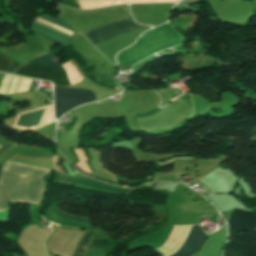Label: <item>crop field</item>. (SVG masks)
Here are the masks:
<instances>
[{
    "mask_svg": "<svg viewBox=\"0 0 256 256\" xmlns=\"http://www.w3.org/2000/svg\"><path fill=\"white\" fill-rule=\"evenodd\" d=\"M48 172L5 161L0 172V210H8L9 202L40 204L45 190L41 178Z\"/></svg>",
    "mask_w": 256,
    "mask_h": 256,
    "instance_id": "crop-field-1",
    "label": "crop field"
},
{
    "mask_svg": "<svg viewBox=\"0 0 256 256\" xmlns=\"http://www.w3.org/2000/svg\"><path fill=\"white\" fill-rule=\"evenodd\" d=\"M184 42L185 38L169 22L144 33L135 45L118 54L117 61L120 64L133 66L136 62L158 51L180 45Z\"/></svg>",
    "mask_w": 256,
    "mask_h": 256,
    "instance_id": "crop-field-2",
    "label": "crop field"
},
{
    "mask_svg": "<svg viewBox=\"0 0 256 256\" xmlns=\"http://www.w3.org/2000/svg\"><path fill=\"white\" fill-rule=\"evenodd\" d=\"M133 24H136V23L133 22L129 17H126V18H123L121 20L99 26V27H97L93 30L84 32V34L87 36V38L89 40H91V39L97 38L99 36L111 33L113 31L128 27V26L133 25ZM143 27H146V26L136 24V25L130 26L128 28L116 31L114 33L99 37V38L94 39V40H91V42L93 44H95V43L110 39L112 37H115L117 35L124 34V33H127V32H131V31H134L136 29L143 28Z\"/></svg>",
    "mask_w": 256,
    "mask_h": 256,
    "instance_id": "crop-field-3",
    "label": "crop field"
},
{
    "mask_svg": "<svg viewBox=\"0 0 256 256\" xmlns=\"http://www.w3.org/2000/svg\"><path fill=\"white\" fill-rule=\"evenodd\" d=\"M39 17H41V18H43V19H45V20H47V21H50V22H52V23H54V24H56V25H58V26H61V27H63V28H66V29H68V30H71V31H73V32H76V30H75L72 26H70V25L66 24L65 22H63V21H61V20H59V19H56V18H54V17H52V16L41 15V16H39ZM38 20L43 21V22H45V23H47V24H50V25H52V26H55V27H57V28H59V29H62V30H64V31H67V30H65V29H63V28H61V27H58V26H56V25H54V24H51V23H49V22H47V21H44V20H42V19H40V18H38ZM38 20H36L35 22L38 23V24H40V25H42V26H45V27H47V28H49V29H51V30H54V31H56V32H58V33H60V34H63V35H65V36L71 38V35H69V34H67V33H65V32H62V31H60V30H58V29H56V28H53V27H51V26H49V25H47V24H44V23H42V22H40V21H38ZM36 23H32V25H31V27H30V30H31V31L36 32V33H39V34H41V35H44V36L49 37V38H51V39H54V40H56V41H59V42L65 44V45H67V44H69V43L71 42V39H69V38H67V37H65V36H63V35H60V34L54 32V31H51V30H49V29H47V28H45V27H42V26H40V25H38V24H36ZM67 32H69V31H67ZM69 33H71V32H69ZM71 34H73V33H71ZM73 36H74V35H73ZM72 38H73V37H72Z\"/></svg>",
    "mask_w": 256,
    "mask_h": 256,
    "instance_id": "crop-field-4",
    "label": "crop field"
},
{
    "mask_svg": "<svg viewBox=\"0 0 256 256\" xmlns=\"http://www.w3.org/2000/svg\"><path fill=\"white\" fill-rule=\"evenodd\" d=\"M54 179L62 181V182L76 183V184H81V185H86V186H91V187L104 189V190H107V191L125 193V194H130L134 190V189H127V188H117V187L109 186V185L103 184L101 182L92 180L90 178H76V177L66 176V175H63V174H60V173H57V172H55ZM55 180L53 181L55 183L64 184V185H68V186L72 185V184H68V183L58 182V181H55ZM76 184H74V185H76ZM81 185H76L75 187L80 188V189H85V190H91V191L111 193V192L103 191V190H100V189L81 186ZM118 193H112V194H118ZM125 194H120V195H125Z\"/></svg>",
    "mask_w": 256,
    "mask_h": 256,
    "instance_id": "crop-field-5",
    "label": "crop field"
},
{
    "mask_svg": "<svg viewBox=\"0 0 256 256\" xmlns=\"http://www.w3.org/2000/svg\"><path fill=\"white\" fill-rule=\"evenodd\" d=\"M229 238L239 230H255L256 213L234 209L229 222Z\"/></svg>",
    "mask_w": 256,
    "mask_h": 256,
    "instance_id": "crop-field-6",
    "label": "crop field"
},
{
    "mask_svg": "<svg viewBox=\"0 0 256 256\" xmlns=\"http://www.w3.org/2000/svg\"><path fill=\"white\" fill-rule=\"evenodd\" d=\"M208 236V235H207ZM205 234L202 233L200 226H193L191 232L181 247V249L172 256H190L197 251L201 243L203 242ZM206 239V238H205Z\"/></svg>",
    "mask_w": 256,
    "mask_h": 256,
    "instance_id": "crop-field-7",
    "label": "crop field"
},
{
    "mask_svg": "<svg viewBox=\"0 0 256 256\" xmlns=\"http://www.w3.org/2000/svg\"><path fill=\"white\" fill-rule=\"evenodd\" d=\"M46 219H49L57 224H67V225H71V226H75L83 229L100 231L98 229L91 228L88 222L71 219L67 216L61 215L54 208L48 211L46 215Z\"/></svg>",
    "mask_w": 256,
    "mask_h": 256,
    "instance_id": "crop-field-8",
    "label": "crop field"
},
{
    "mask_svg": "<svg viewBox=\"0 0 256 256\" xmlns=\"http://www.w3.org/2000/svg\"><path fill=\"white\" fill-rule=\"evenodd\" d=\"M174 102V101H173ZM172 103L168 104V106L164 107L163 109H154L152 112L150 113H146V114H139V115H135L136 118L138 117H143V116H149V115H152L154 113H156L158 110H160L159 112H157L156 114L152 115V116H149V117H144V118H138L137 119V122H140V121H146V120H152V119H155L159 116H161L162 114H164L166 111H168L170 109V107L172 106Z\"/></svg>",
    "mask_w": 256,
    "mask_h": 256,
    "instance_id": "crop-field-9",
    "label": "crop field"
},
{
    "mask_svg": "<svg viewBox=\"0 0 256 256\" xmlns=\"http://www.w3.org/2000/svg\"><path fill=\"white\" fill-rule=\"evenodd\" d=\"M91 235H92V233L85 232L84 236L82 237V239L76 249L74 256H84L85 248H86V245H87Z\"/></svg>",
    "mask_w": 256,
    "mask_h": 256,
    "instance_id": "crop-field-10",
    "label": "crop field"
},
{
    "mask_svg": "<svg viewBox=\"0 0 256 256\" xmlns=\"http://www.w3.org/2000/svg\"><path fill=\"white\" fill-rule=\"evenodd\" d=\"M20 65H15L7 60H5L1 55H0V71L4 72H9L12 73L16 69H18Z\"/></svg>",
    "mask_w": 256,
    "mask_h": 256,
    "instance_id": "crop-field-11",
    "label": "crop field"
},
{
    "mask_svg": "<svg viewBox=\"0 0 256 256\" xmlns=\"http://www.w3.org/2000/svg\"><path fill=\"white\" fill-rule=\"evenodd\" d=\"M13 145H7V146H0V153L4 152L5 150H7L8 148H10Z\"/></svg>",
    "mask_w": 256,
    "mask_h": 256,
    "instance_id": "crop-field-12",
    "label": "crop field"
}]
</instances>
